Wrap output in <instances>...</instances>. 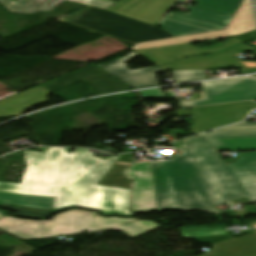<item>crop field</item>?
Returning <instances> with one entry per match:
<instances>
[{"mask_svg":"<svg viewBox=\"0 0 256 256\" xmlns=\"http://www.w3.org/2000/svg\"><path fill=\"white\" fill-rule=\"evenodd\" d=\"M256 138V123H241L171 144L182 155L151 163L158 210L179 208L211 214L212 206L256 202V152L227 166L213 145L220 139Z\"/></svg>","mask_w":256,"mask_h":256,"instance_id":"1","label":"crop field"},{"mask_svg":"<svg viewBox=\"0 0 256 256\" xmlns=\"http://www.w3.org/2000/svg\"><path fill=\"white\" fill-rule=\"evenodd\" d=\"M88 151H25L28 166L21 184L0 182V192L55 197V212L77 206L99 210L103 215L133 216L128 212L129 190L96 185L121 155L104 161Z\"/></svg>","mask_w":256,"mask_h":256,"instance_id":"2","label":"crop field"},{"mask_svg":"<svg viewBox=\"0 0 256 256\" xmlns=\"http://www.w3.org/2000/svg\"><path fill=\"white\" fill-rule=\"evenodd\" d=\"M135 219L101 217L96 212L70 210L46 221H29L10 216L0 219V229L19 238H46L57 235L95 232Z\"/></svg>","mask_w":256,"mask_h":256,"instance_id":"3","label":"crop field"},{"mask_svg":"<svg viewBox=\"0 0 256 256\" xmlns=\"http://www.w3.org/2000/svg\"><path fill=\"white\" fill-rule=\"evenodd\" d=\"M233 16L193 6L185 14L171 12L158 23L176 37L226 29Z\"/></svg>","mask_w":256,"mask_h":256,"instance_id":"4","label":"crop field"},{"mask_svg":"<svg viewBox=\"0 0 256 256\" xmlns=\"http://www.w3.org/2000/svg\"><path fill=\"white\" fill-rule=\"evenodd\" d=\"M202 99L179 101V107H191L256 98V79L238 77L204 82Z\"/></svg>","mask_w":256,"mask_h":256,"instance_id":"5","label":"crop field"},{"mask_svg":"<svg viewBox=\"0 0 256 256\" xmlns=\"http://www.w3.org/2000/svg\"><path fill=\"white\" fill-rule=\"evenodd\" d=\"M78 81L89 86L88 95H103L131 90L130 87L107 73L96 64H91L38 86L53 92Z\"/></svg>","mask_w":256,"mask_h":256,"instance_id":"6","label":"crop field"},{"mask_svg":"<svg viewBox=\"0 0 256 256\" xmlns=\"http://www.w3.org/2000/svg\"><path fill=\"white\" fill-rule=\"evenodd\" d=\"M241 6V5H240ZM238 11V10H237ZM235 16V15H234ZM255 25L250 9L249 0H244L242 6L237 12L236 16L229 24L226 30L180 37V38H170L164 40H158L153 42L141 43L130 48L132 51L167 46L185 42H195V41H204L221 37L235 36L251 31H255Z\"/></svg>","mask_w":256,"mask_h":256,"instance_id":"7","label":"crop field"},{"mask_svg":"<svg viewBox=\"0 0 256 256\" xmlns=\"http://www.w3.org/2000/svg\"><path fill=\"white\" fill-rule=\"evenodd\" d=\"M114 36L137 43L174 37L168 32L154 26L110 12L102 24Z\"/></svg>","mask_w":256,"mask_h":256,"instance_id":"8","label":"crop field"},{"mask_svg":"<svg viewBox=\"0 0 256 256\" xmlns=\"http://www.w3.org/2000/svg\"><path fill=\"white\" fill-rule=\"evenodd\" d=\"M180 1L182 0H121L107 10L153 25Z\"/></svg>","mask_w":256,"mask_h":256,"instance_id":"9","label":"crop field"},{"mask_svg":"<svg viewBox=\"0 0 256 256\" xmlns=\"http://www.w3.org/2000/svg\"><path fill=\"white\" fill-rule=\"evenodd\" d=\"M126 175L133 180L132 212L157 210L150 162L133 164Z\"/></svg>","mask_w":256,"mask_h":256,"instance_id":"10","label":"crop field"},{"mask_svg":"<svg viewBox=\"0 0 256 256\" xmlns=\"http://www.w3.org/2000/svg\"><path fill=\"white\" fill-rule=\"evenodd\" d=\"M138 56L131 52L125 57H122L108 64H101L103 69L127 84L133 89L158 86L155 73L164 72L161 68L154 66L150 68L130 71L123 63Z\"/></svg>","mask_w":256,"mask_h":256,"instance_id":"11","label":"crop field"},{"mask_svg":"<svg viewBox=\"0 0 256 256\" xmlns=\"http://www.w3.org/2000/svg\"><path fill=\"white\" fill-rule=\"evenodd\" d=\"M49 92L35 86L0 101V116H18L28 107L47 102Z\"/></svg>","mask_w":256,"mask_h":256,"instance_id":"12","label":"crop field"},{"mask_svg":"<svg viewBox=\"0 0 256 256\" xmlns=\"http://www.w3.org/2000/svg\"><path fill=\"white\" fill-rule=\"evenodd\" d=\"M108 14H109L108 11H104V10L90 6L68 21H66L62 18H60L59 20L66 22V23L76 24V25L85 27L87 29L114 37L108 30H106L101 25ZM115 38H118V37H115ZM118 39H121V38H118ZM121 40L135 44L134 42L129 41V40H125V39H121Z\"/></svg>","mask_w":256,"mask_h":256,"instance_id":"13","label":"crop field"},{"mask_svg":"<svg viewBox=\"0 0 256 256\" xmlns=\"http://www.w3.org/2000/svg\"><path fill=\"white\" fill-rule=\"evenodd\" d=\"M22 1L23 0H0V4L8 9L12 14H29L39 11H52L66 0H51L44 7L42 6L49 0H25L22 4H20ZM55 2L57 3L52 6Z\"/></svg>","mask_w":256,"mask_h":256,"instance_id":"14","label":"crop field"},{"mask_svg":"<svg viewBox=\"0 0 256 256\" xmlns=\"http://www.w3.org/2000/svg\"><path fill=\"white\" fill-rule=\"evenodd\" d=\"M0 203L53 210L54 198L0 193Z\"/></svg>","mask_w":256,"mask_h":256,"instance_id":"15","label":"crop field"},{"mask_svg":"<svg viewBox=\"0 0 256 256\" xmlns=\"http://www.w3.org/2000/svg\"><path fill=\"white\" fill-rule=\"evenodd\" d=\"M129 166L130 164L116 162L98 184L130 189V181L123 175Z\"/></svg>","mask_w":256,"mask_h":256,"instance_id":"16","label":"crop field"},{"mask_svg":"<svg viewBox=\"0 0 256 256\" xmlns=\"http://www.w3.org/2000/svg\"><path fill=\"white\" fill-rule=\"evenodd\" d=\"M198 3L195 6L235 15L243 0H192Z\"/></svg>","mask_w":256,"mask_h":256,"instance_id":"17","label":"crop field"},{"mask_svg":"<svg viewBox=\"0 0 256 256\" xmlns=\"http://www.w3.org/2000/svg\"><path fill=\"white\" fill-rule=\"evenodd\" d=\"M159 227L161 226L153 222L137 220L136 222L131 224L118 226L111 231L120 230L128 237L134 239Z\"/></svg>","mask_w":256,"mask_h":256,"instance_id":"18","label":"crop field"},{"mask_svg":"<svg viewBox=\"0 0 256 256\" xmlns=\"http://www.w3.org/2000/svg\"><path fill=\"white\" fill-rule=\"evenodd\" d=\"M227 227L228 226L181 228V234L185 239L222 235L226 234Z\"/></svg>","mask_w":256,"mask_h":256,"instance_id":"19","label":"crop field"},{"mask_svg":"<svg viewBox=\"0 0 256 256\" xmlns=\"http://www.w3.org/2000/svg\"><path fill=\"white\" fill-rule=\"evenodd\" d=\"M222 146H215L217 151L256 150V139L221 140Z\"/></svg>","mask_w":256,"mask_h":256,"instance_id":"20","label":"crop field"},{"mask_svg":"<svg viewBox=\"0 0 256 256\" xmlns=\"http://www.w3.org/2000/svg\"><path fill=\"white\" fill-rule=\"evenodd\" d=\"M1 208H5L11 211L17 212L16 216L29 217V218H48L54 212L40 209H30L24 207H12L6 205H0Z\"/></svg>","mask_w":256,"mask_h":256,"instance_id":"21","label":"crop field"},{"mask_svg":"<svg viewBox=\"0 0 256 256\" xmlns=\"http://www.w3.org/2000/svg\"><path fill=\"white\" fill-rule=\"evenodd\" d=\"M175 83H184L204 79L205 70L172 71Z\"/></svg>","mask_w":256,"mask_h":256,"instance_id":"22","label":"crop field"},{"mask_svg":"<svg viewBox=\"0 0 256 256\" xmlns=\"http://www.w3.org/2000/svg\"><path fill=\"white\" fill-rule=\"evenodd\" d=\"M115 3L116 2H112L109 0H90L88 4L105 10L110 6L114 5Z\"/></svg>","mask_w":256,"mask_h":256,"instance_id":"23","label":"crop field"},{"mask_svg":"<svg viewBox=\"0 0 256 256\" xmlns=\"http://www.w3.org/2000/svg\"><path fill=\"white\" fill-rule=\"evenodd\" d=\"M142 98H165L160 89L139 92Z\"/></svg>","mask_w":256,"mask_h":256,"instance_id":"24","label":"crop field"},{"mask_svg":"<svg viewBox=\"0 0 256 256\" xmlns=\"http://www.w3.org/2000/svg\"><path fill=\"white\" fill-rule=\"evenodd\" d=\"M226 238H227V236L223 235V236L199 238V239H196V240H198L200 243L204 244V243H208V242H212V241H216V240H221V239H226Z\"/></svg>","mask_w":256,"mask_h":256,"instance_id":"25","label":"crop field"},{"mask_svg":"<svg viewBox=\"0 0 256 256\" xmlns=\"http://www.w3.org/2000/svg\"><path fill=\"white\" fill-rule=\"evenodd\" d=\"M244 224H245L248 228H256V221H245Z\"/></svg>","mask_w":256,"mask_h":256,"instance_id":"26","label":"crop field"},{"mask_svg":"<svg viewBox=\"0 0 256 256\" xmlns=\"http://www.w3.org/2000/svg\"><path fill=\"white\" fill-rule=\"evenodd\" d=\"M77 1H81V2H89V0H77Z\"/></svg>","mask_w":256,"mask_h":256,"instance_id":"27","label":"crop field"},{"mask_svg":"<svg viewBox=\"0 0 256 256\" xmlns=\"http://www.w3.org/2000/svg\"><path fill=\"white\" fill-rule=\"evenodd\" d=\"M4 217V215L0 214V218Z\"/></svg>","mask_w":256,"mask_h":256,"instance_id":"28","label":"crop field"}]
</instances>
